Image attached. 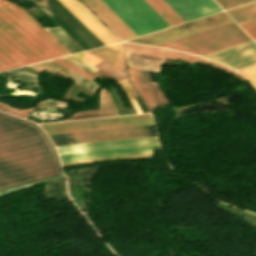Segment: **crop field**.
<instances>
[{
	"label": "crop field",
	"mask_w": 256,
	"mask_h": 256,
	"mask_svg": "<svg viewBox=\"0 0 256 256\" xmlns=\"http://www.w3.org/2000/svg\"><path fill=\"white\" fill-rule=\"evenodd\" d=\"M61 174L46 135L35 124L0 112V189Z\"/></svg>",
	"instance_id": "crop-field-1"
},
{
	"label": "crop field",
	"mask_w": 256,
	"mask_h": 256,
	"mask_svg": "<svg viewBox=\"0 0 256 256\" xmlns=\"http://www.w3.org/2000/svg\"><path fill=\"white\" fill-rule=\"evenodd\" d=\"M69 54L23 8L0 0V71Z\"/></svg>",
	"instance_id": "crop-field-2"
},
{
	"label": "crop field",
	"mask_w": 256,
	"mask_h": 256,
	"mask_svg": "<svg viewBox=\"0 0 256 256\" xmlns=\"http://www.w3.org/2000/svg\"><path fill=\"white\" fill-rule=\"evenodd\" d=\"M247 41H251V39L233 23L159 47L202 55Z\"/></svg>",
	"instance_id": "crop-field-3"
},
{
	"label": "crop field",
	"mask_w": 256,
	"mask_h": 256,
	"mask_svg": "<svg viewBox=\"0 0 256 256\" xmlns=\"http://www.w3.org/2000/svg\"><path fill=\"white\" fill-rule=\"evenodd\" d=\"M103 1L137 36L169 27L144 0Z\"/></svg>",
	"instance_id": "crop-field-4"
},
{
	"label": "crop field",
	"mask_w": 256,
	"mask_h": 256,
	"mask_svg": "<svg viewBox=\"0 0 256 256\" xmlns=\"http://www.w3.org/2000/svg\"><path fill=\"white\" fill-rule=\"evenodd\" d=\"M230 23H233V21L224 12H221L130 40L129 42L157 46Z\"/></svg>",
	"instance_id": "crop-field-5"
},
{
	"label": "crop field",
	"mask_w": 256,
	"mask_h": 256,
	"mask_svg": "<svg viewBox=\"0 0 256 256\" xmlns=\"http://www.w3.org/2000/svg\"><path fill=\"white\" fill-rule=\"evenodd\" d=\"M153 124L148 114L40 126L47 135Z\"/></svg>",
	"instance_id": "crop-field-6"
},
{
	"label": "crop field",
	"mask_w": 256,
	"mask_h": 256,
	"mask_svg": "<svg viewBox=\"0 0 256 256\" xmlns=\"http://www.w3.org/2000/svg\"><path fill=\"white\" fill-rule=\"evenodd\" d=\"M156 135L154 126H139L72 134L52 135L54 146Z\"/></svg>",
	"instance_id": "crop-field-7"
},
{
	"label": "crop field",
	"mask_w": 256,
	"mask_h": 256,
	"mask_svg": "<svg viewBox=\"0 0 256 256\" xmlns=\"http://www.w3.org/2000/svg\"><path fill=\"white\" fill-rule=\"evenodd\" d=\"M234 69L256 64V44L251 41L227 49L202 55Z\"/></svg>",
	"instance_id": "crop-field-8"
},
{
	"label": "crop field",
	"mask_w": 256,
	"mask_h": 256,
	"mask_svg": "<svg viewBox=\"0 0 256 256\" xmlns=\"http://www.w3.org/2000/svg\"><path fill=\"white\" fill-rule=\"evenodd\" d=\"M75 17H77L95 36H97L105 45L121 41L106 27H104L98 18L91 13L78 0H59Z\"/></svg>",
	"instance_id": "crop-field-9"
},
{
	"label": "crop field",
	"mask_w": 256,
	"mask_h": 256,
	"mask_svg": "<svg viewBox=\"0 0 256 256\" xmlns=\"http://www.w3.org/2000/svg\"><path fill=\"white\" fill-rule=\"evenodd\" d=\"M154 144H158L156 136L78 144V145L59 146L55 148L59 155H63V154H72V153H81V152H90V151H99V150H108V149L154 145Z\"/></svg>",
	"instance_id": "crop-field-10"
},
{
	"label": "crop field",
	"mask_w": 256,
	"mask_h": 256,
	"mask_svg": "<svg viewBox=\"0 0 256 256\" xmlns=\"http://www.w3.org/2000/svg\"><path fill=\"white\" fill-rule=\"evenodd\" d=\"M129 70V79L144 100L149 112L151 109L167 103L156 82L152 83L147 72L137 69Z\"/></svg>",
	"instance_id": "crop-field-11"
},
{
	"label": "crop field",
	"mask_w": 256,
	"mask_h": 256,
	"mask_svg": "<svg viewBox=\"0 0 256 256\" xmlns=\"http://www.w3.org/2000/svg\"><path fill=\"white\" fill-rule=\"evenodd\" d=\"M185 22L222 11L212 0H164Z\"/></svg>",
	"instance_id": "crop-field-12"
},
{
	"label": "crop field",
	"mask_w": 256,
	"mask_h": 256,
	"mask_svg": "<svg viewBox=\"0 0 256 256\" xmlns=\"http://www.w3.org/2000/svg\"><path fill=\"white\" fill-rule=\"evenodd\" d=\"M156 149H159L158 145L127 148V149H118V150H109V151L90 152V153H81V154H72V155H63V156H59V157H60L61 162H66V161H76V160H86V159H96V158H106V157L147 154V153H152V150H156ZM147 155H152V154H147ZM147 155H137V156H147ZM137 156H127V157H137ZM127 157H117V158H127ZM117 158H107V159H117ZM107 159L66 162V163H61V164L107 160Z\"/></svg>",
	"instance_id": "crop-field-13"
},
{
	"label": "crop field",
	"mask_w": 256,
	"mask_h": 256,
	"mask_svg": "<svg viewBox=\"0 0 256 256\" xmlns=\"http://www.w3.org/2000/svg\"><path fill=\"white\" fill-rule=\"evenodd\" d=\"M122 40L136 35L105 5L102 0H83Z\"/></svg>",
	"instance_id": "crop-field-14"
},
{
	"label": "crop field",
	"mask_w": 256,
	"mask_h": 256,
	"mask_svg": "<svg viewBox=\"0 0 256 256\" xmlns=\"http://www.w3.org/2000/svg\"><path fill=\"white\" fill-rule=\"evenodd\" d=\"M66 78L72 79L73 82L95 92L97 90V88L100 86L98 84H96L95 82H93L92 80L50 60V61H46V62H42V63H38ZM99 89V88H98Z\"/></svg>",
	"instance_id": "crop-field-15"
},
{
	"label": "crop field",
	"mask_w": 256,
	"mask_h": 256,
	"mask_svg": "<svg viewBox=\"0 0 256 256\" xmlns=\"http://www.w3.org/2000/svg\"><path fill=\"white\" fill-rule=\"evenodd\" d=\"M128 67L158 72L164 59L125 52Z\"/></svg>",
	"instance_id": "crop-field-16"
},
{
	"label": "crop field",
	"mask_w": 256,
	"mask_h": 256,
	"mask_svg": "<svg viewBox=\"0 0 256 256\" xmlns=\"http://www.w3.org/2000/svg\"><path fill=\"white\" fill-rule=\"evenodd\" d=\"M170 26L184 21L163 1L145 0Z\"/></svg>",
	"instance_id": "crop-field-17"
},
{
	"label": "crop field",
	"mask_w": 256,
	"mask_h": 256,
	"mask_svg": "<svg viewBox=\"0 0 256 256\" xmlns=\"http://www.w3.org/2000/svg\"><path fill=\"white\" fill-rule=\"evenodd\" d=\"M166 57L176 59V60H182V61L187 62L189 64H192V63H195V62L205 63V64H208V65L217 67V68H219V69H221V70H223L227 73H230V74L234 75L235 77L239 78L242 81L246 80L243 77L239 76L238 74H236L235 72H233L232 70H230V69H228L224 66H221V65L215 64L213 62L201 59L199 57H195V56H191V55H187V54H183V53H179V52H175V51H171V50H168V53H167Z\"/></svg>",
	"instance_id": "crop-field-18"
},
{
	"label": "crop field",
	"mask_w": 256,
	"mask_h": 256,
	"mask_svg": "<svg viewBox=\"0 0 256 256\" xmlns=\"http://www.w3.org/2000/svg\"><path fill=\"white\" fill-rule=\"evenodd\" d=\"M88 52L126 71L124 56L122 54L108 47Z\"/></svg>",
	"instance_id": "crop-field-19"
},
{
	"label": "crop field",
	"mask_w": 256,
	"mask_h": 256,
	"mask_svg": "<svg viewBox=\"0 0 256 256\" xmlns=\"http://www.w3.org/2000/svg\"><path fill=\"white\" fill-rule=\"evenodd\" d=\"M238 24L256 19V2L226 11Z\"/></svg>",
	"instance_id": "crop-field-20"
},
{
	"label": "crop field",
	"mask_w": 256,
	"mask_h": 256,
	"mask_svg": "<svg viewBox=\"0 0 256 256\" xmlns=\"http://www.w3.org/2000/svg\"><path fill=\"white\" fill-rule=\"evenodd\" d=\"M56 40H58L71 54L83 51V49L77 45L66 33H64L59 27L45 28Z\"/></svg>",
	"instance_id": "crop-field-21"
},
{
	"label": "crop field",
	"mask_w": 256,
	"mask_h": 256,
	"mask_svg": "<svg viewBox=\"0 0 256 256\" xmlns=\"http://www.w3.org/2000/svg\"><path fill=\"white\" fill-rule=\"evenodd\" d=\"M99 114L100 117L119 115L109 95V92L105 89H102L100 94Z\"/></svg>",
	"instance_id": "crop-field-22"
},
{
	"label": "crop field",
	"mask_w": 256,
	"mask_h": 256,
	"mask_svg": "<svg viewBox=\"0 0 256 256\" xmlns=\"http://www.w3.org/2000/svg\"><path fill=\"white\" fill-rule=\"evenodd\" d=\"M125 51L156 57H165L167 50L124 43Z\"/></svg>",
	"instance_id": "crop-field-23"
},
{
	"label": "crop field",
	"mask_w": 256,
	"mask_h": 256,
	"mask_svg": "<svg viewBox=\"0 0 256 256\" xmlns=\"http://www.w3.org/2000/svg\"><path fill=\"white\" fill-rule=\"evenodd\" d=\"M223 10L234 8L256 0H214Z\"/></svg>",
	"instance_id": "crop-field-24"
},
{
	"label": "crop field",
	"mask_w": 256,
	"mask_h": 256,
	"mask_svg": "<svg viewBox=\"0 0 256 256\" xmlns=\"http://www.w3.org/2000/svg\"><path fill=\"white\" fill-rule=\"evenodd\" d=\"M118 83L121 85V87L126 91L127 95H128V98L131 102V104L133 105L136 113H140L132 96L136 95V92L134 91V89L132 88V86L130 85L128 79H123L121 81H118Z\"/></svg>",
	"instance_id": "crop-field-25"
},
{
	"label": "crop field",
	"mask_w": 256,
	"mask_h": 256,
	"mask_svg": "<svg viewBox=\"0 0 256 256\" xmlns=\"http://www.w3.org/2000/svg\"><path fill=\"white\" fill-rule=\"evenodd\" d=\"M237 72L248 78L256 87V65L242 70H238Z\"/></svg>",
	"instance_id": "crop-field-26"
},
{
	"label": "crop field",
	"mask_w": 256,
	"mask_h": 256,
	"mask_svg": "<svg viewBox=\"0 0 256 256\" xmlns=\"http://www.w3.org/2000/svg\"><path fill=\"white\" fill-rule=\"evenodd\" d=\"M72 56H74V57H76V58H78V59H80V60H82V61H84V62H86V63H88L90 65H92V66H94V65H96V64H98L99 62L102 61V60H100V59H98V58H96V57H94V56H92V55H90V54H88L86 52L80 53V54H76V55H72Z\"/></svg>",
	"instance_id": "crop-field-27"
},
{
	"label": "crop field",
	"mask_w": 256,
	"mask_h": 256,
	"mask_svg": "<svg viewBox=\"0 0 256 256\" xmlns=\"http://www.w3.org/2000/svg\"><path fill=\"white\" fill-rule=\"evenodd\" d=\"M0 110L25 118L26 115H27L32 109H27V110L19 111V110H16V109H14V108H11V107H9V106H7V105H4V104H1V103H0Z\"/></svg>",
	"instance_id": "crop-field-28"
},
{
	"label": "crop field",
	"mask_w": 256,
	"mask_h": 256,
	"mask_svg": "<svg viewBox=\"0 0 256 256\" xmlns=\"http://www.w3.org/2000/svg\"><path fill=\"white\" fill-rule=\"evenodd\" d=\"M89 112H97V113H89ZM83 113H89V114H84V115H81V116L73 117L74 115L83 114ZM95 117H99L98 110L82 111V112L74 113V114H72V118H70L68 120L95 118Z\"/></svg>",
	"instance_id": "crop-field-29"
},
{
	"label": "crop field",
	"mask_w": 256,
	"mask_h": 256,
	"mask_svg": "<svg viewBox=\"0 0 256 256\" xmlns=\"http://www.w3.org/2000/svg\"><path fill=\"white\" fill-rule=\"evenodd\" d=\"M240 26L253 38H256V21L247 23V24H243V26L255 37H253L241 24Z\"/></svg>",
	"instance_id": "crop-field-30"
},
{
	"label": "crop field",
	"mask_w": 256,
	"mask_h": 256,
	"mask_svg": "<svg viewBox=\"0 0 256 256\" xmlns=\"http://www.w3.org/2000/svg\"><path fill=\"white\" fill-rule=\"evenodd\" d=\"M54 61H56V62H58V63H60V64H62L64 66H66V67H68V68H70V69H72V70H74V71H76V72H78V73H80V74H82V75L92 79V80L95 79V77H93V76H91V75H89V74H87V73H85V72H83V71H81V70H79V69H77V68H75V67H73V66H71V65H69V64H67V63H65L63 61H61V60H59V59H54Z\"/></svg>",
	"instance_id": "crop-field-31"
},
{
	"label": "crop field",
	"mask_w": 256,
	"mask_h": 256,
	"mask_svg": "<svg viewBox=\"0 0 256 256\" xmlns=\"http://www.w3.org/2000/svg\"><path fill=\"white\" fill-rule=\"evenodd\" d=\"M59 59L65 61V62H67V63H69V64H71V65H73V66H75V67H77V68H79V69H81V70H83V71H85V72H87V73H89V74L95 76V77H99V78L103 79L102 77H100V76H98V75H96V74H94V73H92V72H90V71L84 69L83 67H81V66H79V65H77V64H75V63H73V62H71V61H69V60H67V59H65V58H63V57H61V58H59Z\"/></svg>",
	"instance_id": "crop-field-32"
},
{
	"label": "crop field",
	"mask_w": 256,
	"mask_h": 256,
	"mask_svg": "<svg viewBox=\"0 0 256 256\" xmlns=\"http://www.w3.org/2000/svg\"><path fill=\"white\" fill-rule=\"evenodd\" d=\"M66 58H68V59H70V60H72V61H74V62H76V63H78V64H80V65H82V66H84V67H86L88 69H90V70L96 69V68H94V67H92V66H90V65H88V64H86V63H84V62H82V61H80V60H78V59H76L74 57H72V56H66Z\"/></svg>",
	"instance_id": "crop-field-33"
},
{
	"label": "crop field",
	"mask_w": 256,
	"mask_h": 256,
	"mask_svg": "<svg viewBox=\"0 0 256 256\" xmlns=\"http://www.w3.org/2000/svg\"><path fill=\"white\" fill-rule=\"evenodd\" d=\"M108 47H110V48H112V49H114V50H116V51H118V52L123 54L122 43L116 44V45H112V46H108Z\"/></svg>",
	"instance_id": "crop-field-34"
},
{
	"label": "crop field",
	"mask_w": 256,
	"mask_h": 256,
	"mask_svg": "<svg viewBox=\"0 0 256 256\" xmlns=\"http://www.w3.org/2000/svg\"><path fill=\"white\" fill-rule=\"evenodd\" d=\"M29 67H31V68H33V69H35V70H37V71H39V72H41L42 70H40V69H38V68H36V67H34V66H32V65H28Z\"/></svg>",
	"instance_id": "crop-field-35"
},
{
	"label": "crop field",
	"mask_w": 256,
	"mask_h": 256,
	"mask_svg": "<svg viewBox=\"0 0 256 256\" xmlns=\"http://www.w3.org/2000/svg\"><path fill=\"white\" fill-rule=\"evenodd\" d=\"M255 41H256V39H255Z\"/></svg>",
	"instance_id": "crop-field-36"
}]
</instances>
